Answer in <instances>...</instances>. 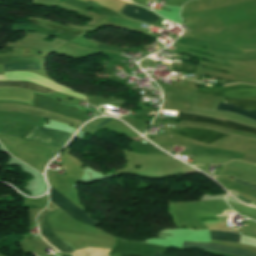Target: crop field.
Returning a JSON list of instances; mask_svg holds the SVG:
<instances>
[{"label": "crop field", "instance_id": "crop-field-1", "mask_svg": "<svg viewBox=\"0 0 256 256\" xmlns=\"http://www.w3.org/2000/svg\"><path fill=\"white\" fill-rule=\"evenodd\" d=\"M197 91L225 97L224 102L234 104L246 110H256V86L234 85L225 88L197 89ZM216 110L234 112L256 121V115L236 107L219 103ZM256 114V111H251Z\"/></svg>", "mask_w": 256, "mask_h": 256}, {"label": "crop field", "instance_id": "crop-field-2", "mask_svg": "<svg viewBox=\"0 0 256 256\" xmlns=\"http://www.w3.org/2000/svg\"><path fill=\"white\" fill-rule=\"evenodd\" d=\"M70 136L71 135L66 132L50 130L35 126L25 138L62 147L70 138Z\"/></svg>", "mask_w": 256, "mask_h": 256}, {"label": "crop field", "instance_id": "crop-field-3", "mask_svg": "<svg viewBox=\"0 0 256 256\" xmlns=\"http://www.w3.org/2000/svg\"><path fill=\"white\" fill-rule=\"evenodd\" d=\"M50 201H52L54 204L59 206L61 209H63L65 212L71 215L73 218L87 225L95 226L97 224V222L88 219L87 218L89 216L88 214H86L83 210H81L79 207H77L75 204L69 201L66 197H64L54 188H52V191H51Z\"/></svg>", "mask_w": 256, "mask_h": 256}, {"label": "crop field", "instance_id": "crop-field-4", "mask_svg": "<svg viewBox=\"0 0 256 256\" xmlns=\"http://www.w3.org/2000/svg\"><path fill=\"white\" fill-rule=\"evenodd\" d=\"M162 119H164V118H162ZM181 119L183 121L209 123V124L217 125V126H220V127L236 130V131L256 134V129H254V128L247 127V126L240 125V124H236V123H232V122H229L227 120H218V119H213V118H208V117H203V116H198V115L179 112L178 120H181ZM173 120H176V119H173Z\"/></svg>", "mask_w": 256, "mask_h": 256}, {"label": "crop field", "instance_id": "crop-field-5", "mask_svg": "<svg viewBox=\"0 0 256 256\" xmlns=\"http://www.w3.org/2000/svg\"><path fill=\"white\" fill-rule=\"evenodd\" d=\"M42 62L36 56L0 57V65ZM42 63L3 66L4 71L42 69Z\"/></svg>", "mask_w": 256, "mask_h": 256}, {"label": "crop field", "instance_id": "crop-field-6", "mask_svg": "<svg viewBox=\"0 0 256 256\" xmlns=\"http://www.w3.org/2000/svg\"><path fill=\"white\" fill-rule=\"evenodd\" d=\"M58 209L55 205H53L52 203L50 204V206L48 208H46L45 210H43L39 215H38V222L41 226V231H42V236L52 245H54L56 248H58L60 251L62 252H71V248L64 242H62L60 239H58L53 232L50 230L45 218H46V214L49 211H53ZM42 237V238H43ZM57 249V250H58Z\"/></svg>", "mask_w": 256, "mask_h": 256}, {"label": "crop field", "instance_id": "crop-field-7", "mask_svg": "<svg viewBox=\"0 0 256 256\" xmlns=\"http://www.w3.org/2000/svg\"><path fill=\"white\" fill-rule=\"evenodd\" d=\"M174 133L187 136L208 144H211L221 138L230 136V135L222 134L220 132L213 131V130L191 128V127H186Z\"/></svg>", "mask_w": 256, "mask_h": 256}, {"label": "crop field", "instance_id": "crop-field-8", "mask_svg": "<svg viewBox=\"0 0 256 256\" xmlns=\"http://www.w3.org/2000/svg\"><path fill=\"white\" fill-rule=\"evenodd\" d=\"M186 248H199L201 250L228 253V254H234L238 256H256V254L245 251V250L221 246V245L212 244V243L184 242L182 249H186Z\"/></svg>", "mask_w": 256, "mask_h": 256}, {"label": "crop field", "instance_id": "crop-field-9", "mask_svg": "<svg viewBox=\"0 0 256 256\" xmlns=\"http://www.w3.org/2000/svg\"><path fill=\"white\" fill-rule=\"evenodd\" d=\"M120 13H122L130 18L142 20V21L149 22L152 24L160 19L144 9L131 7V6H127V5L123 8V10Z\"/></svg>", "mask_w": 256, "mask_h": 256}, {"label": "crop field", "instance_id": "crop-field-10", "mask_svg": "<svg viewBox=\"0 0 256 256\" xmlns=\"http://www.w3.org/2000/svg\"><path fill=\"white\" fill-rule=\"evenodd\" d=\"M29 19L31 20V22L33 24L46 26V27L53 28V29H56V30H60V31L70 33V34L79 35V34L84 32V31H81V30H78V29H75V28H72V27H69V26H66V25L58 24V23H55V22H52V21H49V20H42V19H39V18H29Z\"/></svg>", "mask_w": 256, "mask_h": 256}, {"label": "crop field", "instance_id": "crop-field-11", "mask_svg": "<svg viewBox=\"0 0 256 256\" xmlns=\"http://www.w3.org/2000/svg\"><path fill=\"white\" fill-rule=\"evenodd\" d=\"M6 86H13V87H23L25 89L38 91L42 93L47 92H55L51 89H48L43 86H39L37 84L31 83V82H22V81H0V87H6Z\"/></svg>", "mask_w": 256, "mask_h": 256}, {"label": "crop field", "instance_id": "crop-field-12", "mask_svg": "<svg viewBox=\"0 0 256 256\" xmlns=\"http://www.w3.org/2000/svg\"><path fill=\"white\" fill-rule=\"evenodd\" d=\"M109 249L105 248H90L85 247L83 249L73 251V256H107Z\"/></svg>", "mask_w": 256, "mask_h": 256}, {"label": "crop field", "instance_id": "crop-field-13", "mask_svg": "<svg viewBox=\"0 0 256 256\" xmlns=\"http://www.w3.org/2000/svg\"><path fill=\"white\" fill-rule=\"evenodd\" d=\"M211 239L238 243L239 235L230 232L210 230Z\"/></svg>", "mask_w": 256, "mask_h": 256}, {"label": "crop field", "instance_id": "crop-field-14", "mask_svg": "<svg viewBox=\"0 0 256 256\" xmlns=\"http://www.w3.org/2000/svg\"><path fill=\"white\" fill-rule=\"evenodd\" d=\"M233 183H236V184H239V185H242V186H245L247 188H250V189H253V190H256V185L252 184V183H248V182H244V181H240L238 179H234Z\"/></svg>", "mask_w": 256, "mask_h": 256}, {"label": "crop field", "instance_id": "crop-field-15", "mask_svg": "<svg viewBox=\"0 0 256 256\" xmlns=\"http://www.w3.org/2000/svg\"><path fill=\"white\" fill-rule=\"evenodd\" d=\"M155 256H168V255H165V254H162V253H159V252H155Z\"/></svg>", "mask_w": 256, "mask_h": 256}, {"label": "crop field", "instance_id": "crop-field-16", "mask_svg": "<svg viewBox=\"0 0 256 256\" xmlns=\"http://www.w3.org/2000/svg\"><path fill=\"white\" fill-rule=\"evenodd\" d=\"M108 119H109V118H108ZM108 119H106L105 121H107ZM105 121H103L101 124H103ZM101 124H99L98 126H100ZM98 126H97V127H98Z\"/></svg>", "mask_w": 256, "mask_h": 256}]
</instances>
